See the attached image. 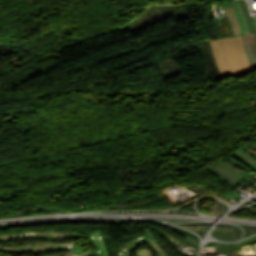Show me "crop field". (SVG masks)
Wrapping results in <instances>:
<instances>
[{
  "instance_id": "crop-field-1",
  "label": "crop field",
  "mask_w": 256,
  "mask_h": 256,
  "mask_svg": "<svg viewBox=\"0 0 256 256\" xmlns=\"http://www.w3.org/2000/svg\"><path fill=\"white\" fill-rule=\"evenodd\" d=\"M222 78L239 77L251 71L240 37L210 41Z\"/></svg>"
},
{
  "instance_id": "crop-field-2",
  "label": "crop field",
  "mask_w": 256,
  "mask_h": 256,
  "mask_svg": "<svg viewBox=\"0 0 256 256\" xmlns=\"http://www.w3.org/2000/svg\"><path fill=\"white\" fill-rule=\"evenodd\" d=\"M205 168L208 169L210 172L214 173L215 175L219 176L220 178L224 179L228 183L232 184L235 187L238 186L237 183H239V181L244 176L247 175L246 172H244V171L240 172V171L236 170L232 165H230L229 163H227L226 161H224L222 159L205 167Z\"/></svg>"
},
{
  "instance_id": "crop-field-3",
  "label": "crop field",
  "mask_w": 256,
  "mask_h": 256,
  "mask_svg": "<svg viewBox=\"0 0 256 256\" xmlns=\"http://www.w3.org/2000/svg\"><path fill=\"white\" fill-rule=\"evenodd\" d=\"M242 42L247 61L252 70L256 69V39L255 35L243 36Z\"/></svg>"
},
{
  "instance_id": "crop-field-4",
  "label": "crop field",
  "mask_w": 256,
  "mask_h": 256,
  "mask_svg": "<svg viewBox=\"0 0 256 256\" xmlns=\"http://www.w3.org/2000/svg\"><path fill=\"white\" fill-rule=\"evenodd\" d=\"M222 4H223V8H224V10L226 12L229 24L231 26L233 35L234 36H242V35H244L242 30H241V28H240L238 19H237L236 15H235V12H234V9H233V5H232L231 1L222 2Z\"/></svg>"
},
{
  "instance_id": "crop-field-5",
  "label": "crop field",
  "mask_w": 256,
  "mask_h": 256,
  "mask_svg": "<svg viewBox=\"0 0 256 256\" xmlns=\"http://www.w3.org/2000/svg\"><path fill=\"white\" fill-rule=\"evenodd\" d=\"M232 2H233V5H234L235 12H236V14H237V16H238V18H239L240 25H241V27H242V30H243L244 34H245V35L251 34L250 31H249V29H248L247 22H246V20H245V17H244V15H243V12H242V10H241V8H240V5H239L238 0H234V1H232Z\"/></svg>"
},
{
  "instance_id": "crop-field-6",
  "label": "crop field",
  "mask_w": 256,
  "mask_h": 256,
  "mask_svg": "<svg viewBox=\"0 0 256 256\" xmlns=\"http://www.w3.org/2000/svg\"><path fill=\"white\" fill-rule=\"evenodd\" d=\"M256 35V34H255Z\"/></svg>"
}]
</instances>
